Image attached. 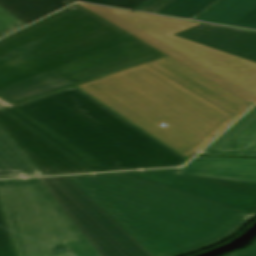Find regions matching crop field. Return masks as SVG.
<instances>
[{
	"label": "crop field",
	"mask_w": 256,
	"mask_h": 256,
	"mask_svg": "<svg viewBox=\"0 0 256 256\" xmlns=\"http://www.w3.org/2000/svg\"><path fill=\"white\" fill-rule=\"evenodd\" d=\"M0 127L45 175L91 172L3 110Z\"/></svg>",
	"instance_id": "obj_9"
},
{
	"label": "crop field",
	"mask_w": 256,
	"mask_h": 256,
	"mask_svg": "<svg viewBox=\"0 0 256 256\" xmlns=\"http://www.w3.org/2000/svg\"><path fill=\"white\" fill-rule=\"evenodd\" d=\"M11 107L0 100V110ZM44 175L24 152L0 128V178Z\"/></svg>",
	"instance_id": "obj_15"
},
{
	"label": "crop field",
	"mask_w": 256,
	"mask_h": 256,
	"mask_svg": "<svg viewBox=\"0 0 256 256\" xmlns=\"http://www.w3.org/2000/svg\"><path fill=\"white\" fill-rule=\"evenodd\" d=\"M0 204L17 256H100L38 178L0 181Z\"/></svg>",
	"instance_id": "obj_6"
},
{
	"label": "crop field",
	"mask_w": 256,
	"mask_h": 256,
	"mask_svg": "<svg viewBox=\"0 0 256 256\" xmlns=\"http://www.w3.org/2000/svg\"><path fill=\"white\" fill-rule=\"evenodd\" d=\"M163 55L75 4L0 40V97L21 103Z\"/></svg>",
	"instance_id": "obj_1"
},
{
	"label": "crop field",
	"mask_w": 256,
	"mask_h": 256,
	"mask_svg": "<svg viewBox=\"0 0 256 256\" xmlns=\"http://www.w3.org/2000/svg\"><path fill=\"white\" fill-rule=\"evenodd\" d=\"M39 179L101 256H152L66 176Z\"/></svg>",
	"instance_id": "obj_7"
},
{
	"label": "crop field",
	"mask_w": 256,
	"mask_h": 256,
	"mask_svg": "<svg viewBox=\"0 0 256 256\" xmlns=\"http://www.w3.org/2000/svg\"><path fill=\"white\" fill-rule=\"evenodd\" d=\"M218 0H175L159 14L193 19Z\"/></svg>",
	"instance_id": "obj_17"
},
{
	"label": "crop field",
	"mask_w": 256,
	"mask_h": 256,
	"mask_svg": "<svg viewBox=\"0 0 256 256\" xmlns=\"http://www.w3.org/2000/svg\"><path fill=\"white\" fill-rule=\"evenodd\" d=\"M68 5L69 0H0L2 8L26 25Z\"/></svg>",
	"instance_id": "obj_16"
},
{
	"label": "crop field",
	"mask_w": 256,
	"mask_h": 256,
	"mask_svg": "<svg viewBox=\"0 0 256 256\" xmlns=\"http://www.w3.org/2000/svg\"><path fill=\"white\" fill-rule=\"evenodd\" d=\"M72 1L85 2L86 0H72ZM89 1H93L92 3H95V4H103V5L133 10L137 6L145 2L146 0H89Z\"/></svg>",
	"instance_id": "obj_20"
},
{
	"label": "crop field",
	"mask_w": 256,
	"mask_h": 256,
	"mask_svg": "<svg viewBox=\"0 0 256 256\" xmlns=\"http://www.w3.org/2000/svg\"><path fill=\"white\" fill-rule=\"evenodd\" d=\"M153 256L216 244L253 216L120 173L67 176Z\"/></svg>",
	"instance_id": "obj_2"
},
{
	"label": "crop field",
	"mask_w": 256,
	"mask_h": 256,
	"mask_svg": "<svg viewBox=\"0 0 256 256\" xmlns=\"http://www.w3.org/2000/svg\"><path fill=\"white\" fill-rule=\"evenodd\" d=\"M146 64L237 118L252 106L169 56Z\"/></svg>",
	"instance_id": "obj_10"
},
{
	"label": "crop field",
	"mask_w": 256,
	"mask_h": 256,
	"mask_svg": "<svg viewBox=\"0 0 256 256\" xmlns=\"http://www.w3.org/2000/svg\"><path fill=\"white\" fill-rule=\"evenodd\" d=\"M23 26L22 22L0 7V38Z\"/></svg>",
	"instance_id": "obj_19"
},
{
	"label": "crop field",
	"mask_w": 256,
	"mask_h": 256,
	"mask_svg": "<svg viewBox=\"0 0 256 256\" xmlns=\"http://www.w3.org/2000/svg\"><path fill=\"white\" fill-rule=\"evenodd\" d=\"M172 1L173 0H147L135 10L156 13Z\"/></svg>",
	"instance_id": "obj_21"
},
{
	"label": "crop field",
	"mask_w": 256,
	"mask_h": 256,
	"mask_svg": "<svg viewBox=\"0 0 256 256\" xmlns=\"http://www.w3.org/2000/svg\"><path fill=\"white\" fill-rule=\"evenodd\" d=\"M0 256H16L1 207H0Z\"/></svg>",
	"instance_id": "obj_18"
},
{
	"label": "crop field",
	"mask_w": 256,
	"mask_h": 256,
	"mask_svg": "<svg viewBox=\"0 0 256 256\" xmlns=\"http://www.w3.org/2000/svg\"><path fill=\"white\" fill-rule=\"evenodd\" d=\"M227 256H236L235 254L227 255Z\"/></svg>",
	"instance_id": "obj_23"
},
{
	"label": "crop field",
	"mask_w": 256,
	"mask_h": 256,
	"mask_svg": "<svg viewBox=\"0 0 256 256\" xmlns=\"http://www.w3.org/2000/svg\"><path fill=\"white\" fill-rule=\"evenodd\" d=\"M78 87L186 158L237 119L145 64Z\"/></svg>",
	"instance_id": "obj_4"
},
{
	"label": "crop field",
	"mask_w": 256,
	"mask_h": 256,
	"mask_svg": "<svg viewBox=\"0 0 256 256\" xmlns=\"http://www.w3.org/2000/svg\"><path fill=\"white\" fill-rule=\"evenodd\" d=\"M77 4L167 53L248 103L253 105L256 102V63L174 36L203 24ZM156 39L161 42L153 43Z\"/></svg>",
	"instance_id": "obj_5"
},
{
	"label": "crop field",
	"mask_w": 256,
	"mask_h": 256,
	"mask_svg": "<svg viewBox=\"0 0 256 256\" xmlns=\"http://www.w3.org/2000/svg\"><path fill=\"white\" fill-rule=\"evenodd\" d=\"M181 169L123 174L256 215V183L176 174Z\"/></svg>",
	"instance_id": "obj_8"
},
{
	"label": "crop field",
	"mask_w": 256,
	"mask_h": 256,
	"mask_svg": "<svg viewBox=\"0 0 256 256\" xmlns=\"http://www.w3.org/2000/svg\"><path fill=\"white\" fill-rule=\"evenodd\" d=\"M177 35L256 62V33L203 25Z\"/></svg>",
	"instance_id": "obj_11"
},
{
	"label": "crop field",
	"mask_w": 256,
	"mask_h": 256,
	"mask_svg": "<svg viewBox=\"0 0 256 256\" xmlns=\"http://www.w3.org/2000/svg\"><path fill=\"white\" fill-rule=\"evenodd\" d=\"M201 154L256 157V107Z\"/></svg>",
	"instance_id": "obj_12"
},
{
	"label": "crop field",
	"mask_w": 256,
	"mask_h": 256,
	"mask_svg": "<svg viewBox=\"0 0 256 256\" xmlns=\"http://www.w3.org/2000/svg\"><path fill=\"white\" fill-rule=\"evenodd\" d=\"M178 173L256 182V159L197 157Z\"/></svg>",
	"instance_id": "obj_13"
},
{
	"label": "crop field",
	"mask_w": 256,
	"mask_h": 256,
	"mask_svg": "<svg viewBox=\"0 0 256 256\" xmlns=\"http://www.w3.org/2000/svg\"><path fill=\"white\" fill-rule=\"evenodd\" d=\"M197 20L256 29V0H223Z\"/></svg>",
	"instance_id": "obj_14"
},
{
	"label": "crop field",
	"mask_w": 256,
	"mask_h": 256,
	"mask_svg": "<svg viewBox=\"0 0 256 256\" xmlns=\"http://www.w3.org/2000/svg\"><path fill=\"white\" fill-rule=\"evenodd\" d=\"M4 110L93 172L187 161L75 88Z\"/></svg>",
	"instance_id": "obj_3"
},
{
	"label": "crop field",
	"mask_w": 256,
	"mask_h": 256,
	"mask_svg": "<svg viewBox=\"0 0 256 256\" xmlns=\"http://www.w3.org/2000/svg\"><path fill=\"white\" fill-rule=\"evenodd\" d=\"M235 254L240 255V256H256V242L252 246H250L240 252H237Z\"/></svg>",
	"instance_id": "obj_22"
}]
</instances>
